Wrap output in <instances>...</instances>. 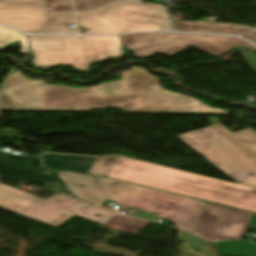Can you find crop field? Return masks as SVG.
I'll return each mask as SVG.
<instances>
[{
    "mask_svg": "<svg viewBox=\"0 0 256 256\" xmlns=\"http://www.w3.org/2000/svg\"><path fill=\"white\" fill-rule=\"evenodd\" d=\"M107 107L124 112L229 114L160 88L158 78L140 67L125 72L123 80L84 89L48 85L17 71L6 81L1 110L88 111Z\"/></svg>",
    "mask_w": 256,
    "mask_h": 256,
    "instance_id": "8a807250",
    "label": "crop field"
},
{
    "mask_svg": "<svg viewBox=\"0 0 256 256\" xmlns=\"http://www.w3.org/2000/svg\"><path fill=\"white\" fill-rule=\"evenodd\" d=\"M58 175L79 199L98 206L109 199L168 218L190 233L205 203L113 179H101L72 172H58Z\"/></svg>",
    "mask_w": 256,
    "mask_h": 256,
    "instance_id": "ac0d7876",
    "label": "crop field"
},
{
    "mask_svg": "<svg viewBox=\"0 0 256 256\" xmlns=\"http://www.w3.org/2000/svg\"><path fill=\"white\" fill-rule=\"evenodd\" d=\"M107 177L256 212V190L121 156Z\"/></svg>",
    "mask_w": 256,
    "mask_h": 256,
    "instance_id": "34b2d1b8",
    "label": "crop field"
},
{
    "mask_svg": "<svg viewBox=\"0 0 256 256\" xmlns=\"http://www.w3.org/2000/svg\"><path fill=\"white\" fill-rule=\"evenodd\" d=\"M185 143L237 183L256 188V132L236 133L222 124L178 135Z\"/></svg>",
    "mask_w": 256,
    "mask_h": 256,
    "instance_id": "412701ff",
    "label": "crop field"
},
{
    "mask_svg": "<svg viewBox=\"0 0 256 256\" xmlns=\"http://www.w3.org/2000/svg\"><path fill=\"white\" fill-rule=\"evenodd\" d=\"M29 36L34 67L39 69H51L58 64H64L78 72H87L93 62L122 57L118 36Z\"/></svg>",
    "mask_w": 256,
    "mask_h": 256,
    "instance_id": "f4fd0767",
    "label": "crop field"
},
{
    "mask_svg": "<svg viewBox=\"0 0 256 256\" xmlns=\"http://www.w3.org/2000/svg\"><path fill=\"white\" fill-rule=\"evenodd\" d=\"M164 5L118 0L92 11H76L80 34L171 30Z\"/></svg>",
    "mask_w": 256,
    "mask_h": 256,
    "instance_id": "dd49c442",
    "label": "crop field"
},
{
    "mask_svg": "<svg viewBox=\"0 0 256 256\" xmlns=\"http://www.w3.org/2000/svg\"><path fill=\"white\" fill-rule=\"evenodd\" d=\"M122 45L130 48L136 57H147L160 52L174 56L193 46L212 56L239 45L255 48L235 37L203 34L138 33L119 36Z\"/></svg>",
    "mask_w": 256,
    "mask_h": 256,
    "instance_id": "e52e79f7",
    "label": "crop field"
},
{
    "mask_svg": "<svg viewBox=\"0 0 256 256\" xmlns=\"http://www.w3.org/2000/svg\"><path fill=\"white\" fill-rule=\"evenodd\" d=\"M0 207L55 227L74 215L102 224L118 215L81 201L66 208L3 185H0Z\"/></svg>",
    "mask_w": 256,
    "mask_h": 256,
    "instance_id": "d8731c3e",
    "label": "crop field"
},
{
    "mask_svg": "<svg viewBox=\"0 0 256 256\" xmlns=\"http://www.w3.org/2000/svg\"><path fill=\"white\" fill-rule=\"evenodd\" d=\"M0 23L30 33L76 34L73 11L46 12L44 0H0Z\"/></svg>",
    "mask_w": 256,
    "mask_h": 256,
    "instance_id": "5a996713",
    "label": "crop field"
},
{
    "mask_svg": "<svg viewBox=\"0 0 256 256\" xmlns=\"http://www.w3.org/2000/svg\"><path fill=\"white\" fill-rule=\"evenodd\" d=\"M252 214L206 202L192 234L207 241L242 238Z\"/></svg>",
    "mask_w": 256,
    "mask_h": 256,
    "instance_id": "3316defc",
    "label": "crop field"
},
{
    "mask_svg": "<svg viewBox=\"0 0 256 256\" xmlns=\"http://www.w3.org/2000/svg\"><path fill=\"white\" fill-rule=\"evenodd\" d=\"M39 159L37 155L22 157L0 151V175L27 184L38 182L48 190L74 197L56 171L40 167Z\"/></svg>",
    "mask_w": 256,
    "mask_h": 256,
    "instance_id": "28ad6ade",
    "label": "crop field"
},
{
    "mask_svg": "<svg viewBox=\"0 0 256 256\" xmlns=\"http://www.w3.org/2000/svg\"><path fill=\"white\" fill-rule=\"evenodd\" d=\"M42 164L46 167L87 173L96 157L72 156L41 153Z\"/></svg>",
    "mask_w": 256,
    "mask_h": 256,
    "instance_id": "d1516ede",
    "label": "crop field"
},
{
    "mask_svg": "<svg viewBox=\"0 0 256 256\" xmlns=\"http://www.w3.org/2000/svg\"><path fill=\"white\" fill-rule=\"evenodd\" d=\"M175 27L177 31L210 32L233 35H241L251 32L250 29L243 26L228 25L223 23L175 22Z\"/></svg>",
    "mask_w": 256,
    "mask_h": 256,
    "instance_id": "22f410ed",
    "label": "crop field"
},
{
    "mask_svg": "<svg viewBox=\"0 0 256 256\" xmlns=\"http://www.w3.org/2000/svg\"><path fill=\"white\" fill-rule=\"evenodd\" d=\"M248 227L256 229V213H254ZM213 245L220 254L232 256H256V247L249 245L243 240L218 242L213 243Z\"/></svg>",
    "mask_w": 256,
    "mask_h": 256,
    "instance_id": "cbeb9de0",
    "label": "crop field"
},
{
    "mask_svg": "<svg viewBox=\"0 0 256 256\" xmlns=\"http://www.w3.org/2000/svg\"><path fill=\"white\" fill-rule=\"evenodd\" d=\"M147 223L148 221L146 220L119 215L107 224H105V226L116 228L125 233H134L137 229L141 228Z\"/></svg>",
    "mask_w": 256,
    "mask_h": 256,
    "instance_id": "5142ce71",
    "label": "crop field"
},
{
    "mask_svg": "<svg viewBox=\"0 0 256 256\" xmlns=\"http://www.w3.org/2000/svg\"><path fill=\"white\" fill-rule=\"evenodd\" d=\"M13 41H17L21 44V53L28 51L25 34L0 26V48L6 47L8 43Z\"/></svg>",
    "mask_w": 256,
    "mask_h": 256,
    "instance_id": "d9b57169",
    "label": "crop field"
},
{
    "mask_svg": "<svg viewBox=\"0 0 256 256\" xmlns=\"http://www.w3.org/2000/svg\"><path fill=\"white\" fill-rule=\"evenodd\" d=\"M118 156L98 158L88 174L103 177L108 172L110 167L113 165Z\"/></svg>",
    "mask_w": 256,
    "mask_h": 256,
    "instance_id": "733c2abd",
    "label": "crop field"
},
{
    "mask_svg": "<svg viewBox=\"0 0 256 256\" xmlns=\"http://www.w3.org/2000/svg\"><path fill=\"white\" fill-rule=\"evenodd\" d=\"M116 0H75L76 10H91Z\"/></svg>",
    "mask_w": 256,
    "mask_h": 256,
    "instance_id": "4a817a6b",
    "label": "crop field"
},
{
    "mask_svg": "<svg viewBox=\"0 0 256 256\" xmlns=\"http://www.w3.org/2000/svg\"><path fill=\"white\" fill-rule=\"evenodd\" d=\"M47 11L73 10L72 0H45Z\"/></svg>",
    "mask_w": 256,
    "mask_h": 256,
    "instance_id": "bc2a9ffb",
    "label": "crop field"
},
{
    "mask_svg": "<svg viewBox=\"0 0 256 256\" xmlns=\"http://www.w3.org/2000/svg\"><path fill=\"white\" fill-rule=\"evenodd\" d=\"M50 201L56 202L58 204H61L63 206H71L72 204L76 203L78 200H74L65 196H61L56 194L55 196H53L52 198L48 199Z\"/></svg>",
    "mask_w": 256,
    "mask_h": 256,
    "instance_id": "214f88e0",
    "label": "crop field"
},
{
    "mask_svg": "<svg viewBox=\"0 0 256 256\" xmlns=\"http://www.w3.org/2000/svg\"><path fill=\"white\" fill-rule=\"evenodd\" d=\"M254 71H256V55L254 53L244 54Z\"/></svg>",
    "mask_w": 256,
    "mask_h": 256,
    "instance_id": "92a150f3",
    "label": "crop field"
},
{
    "mask_svg": "<svg viewBox=\"0 0 256 256\" xmlns=\"http://www.w3.org/2000/svg\"><path fill=\"white\" fill-rule=\"evenodd\" d=\"M244 38L250 40L251 42L256 44V33L248 36H244Z\"/></svg>",
    "mask_w": 256,
    "mask_h": 256,
    "instance_id": "dafd665d",
    "label": "crop field"
}]
</instances>
